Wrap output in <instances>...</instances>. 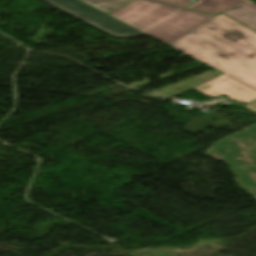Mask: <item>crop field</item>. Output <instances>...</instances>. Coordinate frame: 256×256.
<instances>
[{
    "label": "crop field",
    "instance_id": "3",
    "mask_svg": "<svg viewBox=\"0 0 256 256\" xmlns=\"http://www.w3.org/2000/svg\"><path fill=\"white\" fill-rule=\"evenodd\" d=\"M205 154L228 164L239 187L256 198V125L215 143ZM238 156L242 159H237Z\"/></svg>",
    "mask_w": 256,
    "mask_h": 256
},
{
    "label": "crop field",
    "instance_id": "4",
    "mask_svg": "<svg viewBox=\"0 0 256 256\" xmlns=\"http://www.w3.org/2000/svg\"><path fill=\"white\" fill-rule=\"evenodd\" d=\"M42 1L98 28L99 30L117 39L145 35L77 0Z\"/></svg>",
    "mask_w": 256,
    "mask_h": 256
},
{
    "label": "crop field",
    "instance_id": "5",
    "mask_svg": "<svg viewBox=\"0 0 256 256\" xmlns=\"http://www.w3.org/2000/svg\"><path fill=\"white\" fill-rule=\"evenodd\" d=\"M194 88L210 97L225 95L234 101L242 103H248L256 99V90L249 88L224 74Z\"/></svg>",
    "mask_w": 256,
    "mask_h": 256
},
{
    "label": "crop field",
    "instance_id": "8",
    "mask_svg": "<svg viewBox=\"0 0 256 256\" xmlns=\"http://www.w3.org/2000/svg\"><path fill=\"white\" fill-rule=\"evenodd\" d=\"M107 14L115 11L132 0H81Z\"/></svg>",
    "mask_w": 256,
    "mask_h": 256
},
{
    "label": "crop field",
    "instance_id": "7",
    "mask_svg": "<svg viewBox=\"0 0 256 256\" xmlns=\"http://www.w3.org/2000/svg\"><path fill=\"white\" fill-rule=\"evenodd\" d=\"M238 1L239 0H199L196 3L189 5L187 8L217 14Z\"/></svg>",
    "mask_w": 256,
    "mask_h": 256
},
{
    "label": "crop field",
    "instance_id": "9",
    "mask_svg": "<svg viewBox=\"0 0 256 256\" xmlns=\"http://www.w3.org/2000/svg\"><path fill=\"white\" fill-rule=\"evenodd\" d=\"M157 1H162V2H166L175 6H179V7H183L189 3H191V1L189 0H157Z\"/></svg>",
    "mask_w": 256,
    "mask_h": 256
},
{
    "label": "crop field",
    "instance_id": "6",
    "mask_svg": "<svg viewBox=\"0 0 256 256\" xmlns=\"http://www.w3.org/2000/svg\"><path fill=\"white\" fill-rule=\"evenodd\" d=\"M222 13L256 30V4L251 1L241 0Z\"/></svg>",
    "mask_w": 256,
    "mask_h": 256
},
{
    "label": "crop field",
    "instance_id": "1",
    "mask_svg": "<svg viewBox=\"0 0 256 256\" xmlns=\"http://www.w3.org/2000/svg\"><path fill=\"white\" fill-rule=\"evenodd\" d=\"M256 89V32L220 14L169 44Z\"/></svg>",
    "mask_w": 256,
    "mask_h": 256
},
{
    "label": "crop field",
    "instance_id": "2",
    "mask_svg": "<svg viewBox=\"0 0 256 256\" xmlns=\"http://www.w3.org/2000/svg\"><path fill=\"white\" fill-rule=\"evenodd\" d=\"M109 15L167 44L214 17L143 0H134Z\"/></svg>",
    "mask_w": 256,
    "mask_h": 256
},
{
    "label": "crop field",
    "instance_id": "10",
    "mask_svg": "<svg viewBox=\"0 0 256 256\" xmlns=\"http://www.w3.org/2000/svg\"><path fill=\"white\" fill-rule=\"evenodd\" d=\"M253 112H256V102L252 103V104H249V105H246V106H243Z\"/></svg>",
    "mask_w": 256,
    "mask_h": 256
}]
</instances>
